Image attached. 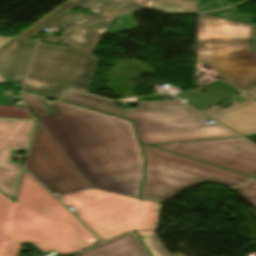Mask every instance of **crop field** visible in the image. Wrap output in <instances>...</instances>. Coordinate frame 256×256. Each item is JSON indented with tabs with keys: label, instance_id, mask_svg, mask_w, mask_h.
Listing matches in <instances>:
<instances>
[{
	"label": "crop field",
	"instance_id": "obj_7",
	"mask_svg": "<svg viewBox=\"0 0 256 256\" xmlns=\"http://www.w3.org/2000/svg\"><path fill=\"white\" fill-rule=\"evenodd\" d=\"M96 63L89 52L40 42L24 89L55 98L67 87L86 92Z\"/></svg>",
	"mask_w": 256,
	"mask_h": 256
},
{
	"label": "crop field",
	"instance_id": "obj_8",
	"mask_svg": "<svg viewBox=\"0 0 256 256\" xmlns=\"http://www.w3.org/2000/svg\"><path fill=\"white\" fill-rule=\"evenodd\" d=\"M76 6L88 8L96 15L91 17L78 13L71 18L73 14L67 12ZM142 8H154L165 12L192 13L198 10V1L193 0H68L58 8L41 18L39 21L25 29L17 37L30 38L35 33L48 25L63 23L67 18L68 21L61 25L64 29L90 22L105 19L118 14L139 10Z\"/></svg>",
	"mask_w": 256,
	"mask_h": 256
},
{
	"label": "crop field",
	"instance_id": "obj_11",
	"mask_svg": "<svg viewBox=\"0 0 256 256\" xmlns=\"http://www.w3.org/2000/svg\"><path fill=\"white\" fill-rule=\"evenodd\" d=\"M34 120L0 118V190L16 199L23 168L7 163L11 149L27 150Z\"/></svg>",
	"mask_w": 256,
	"mask_h": 256
},
{
	"label": "crop field",
	"instance_id": "obj_25",
	"mask_svg": "<svg viewBox=\"0 0 256 256\" xmlns=\"http://www.w3.org/2000/svg\"><path fill=\"white\" fill-rule=\"evenodd\" d=\"M177 97H179L177 94H175ZM180 99H182L181 97H179ZM183 101H185L186 103H188L189 105H191L192 107H194L195 109L197 110H200L198 109L197 107H195L194 105L190 104L189 102H187L186 100L182 99Z\"/></svg>",
	"mask_w": 256,
	"mask_h": 256
},
{
	"label": "crop field",
	"instance_id": "obj_24",
	"mask_svg": "<svg viewBox=\"0 0 256 256\" xmlns=\"http://www.w3.org/2000/svg\"><path fill=\"white\" fill-rule=\"evenodd\" d=\"M247 139H249L252 142L256 143V135L255 136H251V137H247Z\"/></svg>",
	"mask_w": 256,
	"mask_h": 256
},
{
	"label": "crop field",
	"instance_id": "obj_23",
	"mask_svg": "<svg viewBox=\"0 0 256 256\" xmlns=\"http://www.w3.org/2000/svg\"><path fill=\"white\" fill-rule=\"evenodd\" d=\"M246 93L256 98V86L247 91Z\"/></svg>",
	"mask_w": 256,
	"mask_h": 256
},
{
	"label": "crop field",
	"instance_id": "obj_22",
	"mask_svg": "<svg viewBox=\"0 0 256 256\" xmlns=\"http://www.w3.org/2000/svg\"><path fill=\"white\" fill-rule=\"evenodd\" d=\"M256 207V179L234 189Z\"/></svg>",
	"mask_w": 256,
	"mask_h": 256
},
{
	"label": "crop field",
	"instance_id": "obj_19",
	"mask_svg": "<svg viewBox=\"0 0 256 256\" xmlns=\"http://www.w3.org/2000/svg\"><path fill=\"white\" fill-rule=\"evenodd\" d=\"M140 240L144 243V245L147 247L149 252L152 256H170L167 250L165 249L164 245L158 238V236L153 237H143L140 238ZM172 256H185L182 253H177Z\"/></svg>",
	"mask_w": 256,
	"mask_h": 256
},
{
	"label": "crop field",
	"instance_id": "obj_14",
	"mask_svg": "<svg viewBox=\"0 0 256 256\" xmlns=\"http://www.w3.org/2000/svg\"><path fill=\"white\" fill-rule=\"evenodd\" d=\"M113 20L114 19H110L80 26L65 31L60 38L47 36L45 40L67 44L91 52Z\"/></svg>",
	"mask_w": 256,
	"mask_h": 256
},
{
	"label": "crop field",
	"instance_id": "obj_10",
	"mask_svg": "<svg viewBox=\"0 0 256 256\" xmlns=\"http://www.w3.org/2000/svg\"><path fill=\"white\" fill-rule=\"evenodd\" d=\"M156 147L252 177L256 176V146L243 138L157 145Z\"/></svg>",
	"mask_w": 256,
	"mask_h": 256
},
{
	"label": "crop field",
	"instance_id": "obj_15",
	"mask_svg": "<svg viewBox=\"0 0 256 256\" xmlns=\"http://www.w3.org/2000/svg\"><path fill=\"white\" fill-rule=\"evenodd\" d=\"M77 256H146V254L134 235L127 234Z\"/></svg>",
	"mask_w": 256,
	"mask_h": 256
},
{
	"label": "crop field",
	"instance_id": "obj_1",
	"mask_svg": "<svg viewBox=\"0 0 256 256\" xmlns=\"http://www.w3.org/2000/svg\"><path fill=\"white\" fill-rule=\"evenodd\" d=\"M39 119L93 188L139 198L143 155L133 125L78 106L48 103Z\"/></svg>",
	"mask_w": 256,
	"mask_h": 256
},
{
	"label": "crop field",
	"instance_id": "obj_13",
	"mask_svg": "<svg viewBox=\"0 0 256 256\" xmlns=\"http://www.w3.org/2000/svg\"><path fill=\"white\" fill-rule=\"evenodd\" d=\"M35 43L12 39L0 47V73L5 79L23 82Z\"/></svg>",
	"mask_w": 256,
	"mask_h": 256
},
{
	"label": "crop field",
	"instance_id": "obj_12",
	"mask_svg": "<svg viewBox=\"0 0 256 256\" xmlns=\"http://www.w3.org/2000/svg\"><path fill=\"white\" fill-rule=\"evenodd\" d=\"M240 97L246 101L227 109L216 106L203 113L243 136L256 134V102L245 95Z\"/></svg>",
	"mask_w": 256,
	"mask_h": 256
},
{
	"label": "crop field",
	"instance_id": "obj_16",
	"mask_svg": "<svg viewBox=\"0 0 256 256\" xmlns=\"http://www.w3.org/2000/svg\"><path fill=\"white\" fill-rule=\"evenodd\" d=\"M202 90H206L208 92L202 94ZM239 93L241 92L231 87L227 83L222 82L209 88H202L198 90L179 93L178 95L191 102L195 106L199 107L200 109L204 110Z\"/></svg>",
	"mask_w": 256,
	"mask_h": 256
},
{
	"label": "crop field",
	"instance_id": "obj_21",
	"mask_svg": "<svg viewBox=\"0 0 256 256\" xmlns=\"http://www.w3.org/2000/svg\"><path fill=\"white\" fill-rule=\"evenodd\" d=\"M0 117L29 119L32 116L24 107L0 105Z\"/></svg>",
	"mask_w": 256,
	"mask_h": 256
},
{
	"label": "crop field",
	"instance_id": "obj_3",
	"mask_svg": "<svg viewBox=\"0 0 256 256\" xmlns=\"http://www.w3.org/2000/svg\"><path fill=\"white\" fill-rule=\"evenodd\" d=\"M252 15L232 8L199 14L196 62L245 90L256 84V54L250 51Z\"/></svg>",
	"mask_w": 256,
	"mask_h": 256
},
{
	"label": "crop field",
	"instance_id": "obj_27",
	"mask_svg": "<svg viewBox=\"0 0 256 256\" xmlns=\"http://www.w3.org/2000/svg\"><path fill=\"white\" fill-rule=\"evenodd\" d=\"M2 79H1V77H0V81H1Z\"/></svg>",
	"mask_w": 256,
	"mask_h": 256
},
{
	"label": "crop field",
	"instance_id": "obj_4",
	"mask_svg": "<svg viewBox=\"0 0 256 256\" xmlns=\"http://www.w3.org/2000/svg\"><path fill=\"white\" fill-rule=\"evenodd\" d=\"M102 240L128 231L156 235L161 204L93 188L58 197ZM63 203V204H64Z\"/></svg>",
	"mask_w": 256,
	"mask_h": 256
},
{
	"label": "crop field",
	"instance_id": "obj_6",
	"mask_svg": "<svg viewBox=\"0 0 256 256\" xmlns=\"http://www.w3.org/2000/svg\"><path fill=\"white\" fill-rule=\"evenodd\" d=\"M146 179L142 198L162 203L179 190L214 181L236 187L251 177L143 145Z\"/></svg>",
	"mask_w": 256,
	"mask_h": 256
},
{
	"label": "crop field",
	"instance_id": "obj_2",
	"mask_svg": "<svg viewBox=\"0 0 256 256\" xmlns=\"http://www.w3.org/2000/svg\"><path fill=\"white\" fill-rule=\"evenodd\" d=\"M98 238L26 171L23 172L1 256H18L31 242L43 254L65 255L94 246Z\"/></svg>",
	"mask_w": 256,
	"mask_h": 256
},
{
	"label": "crop field",
	"instance_id": "obj_17",
	"mask_svg": "<svg viewBox=\"0 0 256 256\" xmlns=\"http://www.w3.org/2000/svg\"><path fill=\"white\" fill-rule=\"evenodd\" d=\"M63 100L73 102L82 106L90 107L100 111L108 112L117 116H120L124 108L115 104V102L97 98L73 91H67L66 95L63 97Z\"/></svg>",
	"mask_w": 256,
	"mask_h": 256
},
{
	"label": "crop field",
	"instance_id": "obj_20",
	"mask_svg": "<svg viewBox=\"0 0 256 256\" xmlns=\"http://www.w3.org/2000/svg\"><path fill=\"white\" fill-rule=\"evenodd\" d=\"M22 96L26 105L29 107L35 117L49 113V110L46 108L39 97L29 94H22Z\"/></svg>",
	"mask_w": 256,
	"mask_h": 256
},
{
	"label": "crop field",
	"instance_id": "obj_26",
	"mask_svg": "<svg viewBox=\"0 0 256 256\" xmlns=\"http://www.w3.org/2000/svg\"><path fill=\"white\" fill-rule=\"evenodd\" d=\"M7 40H9V39H7V38H0V45L3 44L4 42H6Z\"/></svg>",
	"mask_w": 256,
	"mask_h": 256
},
{
	"label": "crop field",
	"instance_id": "obj_18",
	"mask_svg": "<svg viewBox=\"0 0 256 256\" xmlns=\"http://www.w3.org/2000/svg\"><path fill=\"white\" fill-rule=\"evenodd\" d=\"M14 201L0 193V248Z\"/></svg>",
	"mask_w": 256,
	"mask_h": 256
},
{
	"label": "crop field",
	"instance_id": "obj_5",
	"mask_svg": "<svg viewBox=\"0 0 256 256\" xmlns=\"http://www.w3.org/2000/svg\"><path fill=\"white\" fill-rule=\"evenodd\" d=\"M124 117L135 122L147 144L239 136L218 123L204 124L205 116L181 101L140 103Z\"/></svg>",
	"mask_w": 256,
	"mask_h": 256
},
{
	"label": "crop field",
	"instance_id": "obj_9",
	"mask_svg": "<svg viewBox=\"0 0 256 256\" xmlns=\"http://www.w3.org/2000/svg\"><path fill=\"white\" fill-rule=\"evenodd\" d=\"M26 168L61 195L91 187L40 122L36 124Z\"/></svg>",
	"mask_w": 256,
	"mask_h": 256
}]
</instances>
